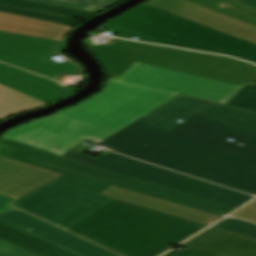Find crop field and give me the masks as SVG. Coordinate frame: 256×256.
<instances>
[{
	"instance_id": "crop-field-27",
	"label": "crop field",
	"mask_w": 256,
	"mask_h": 256,
	"mask_svg": "<svg viewBox=\"0 0 256 256\" xmlns=\"http://www.w3.org/2000/svg\"><path fill=\"white\" fill-rule=\"evenodd\" d=\"M12 200H14V198L7 197V196H4V195L0 194V210H6V209L14 208V207H12L11 205L8 204Z\"/></svg>"
},
{
	"instance_id": "crop-field-20",
	"label": "crop field",
	"mask_w": 256,
	"mask_h": 256,
	"mask_svg": "<svg viewBox=\"0 0 256 256\" xmlns=\"http://www.w3.org/2000/svg\"><path fill=\"white\" fill-rule=\"evenodd\" d=\"M31 1L76 8V9H81V10H86V11L96 13L116 3L118 0H31Z\"/></svg>"
},
{
	"instance_id": "crop-field-17",
	"label": "crop field",
	"mask_w": 256,
	"mask_h": 256,
	"mask_svg": "<svg viewBox=\"0 0 256 256\" xmlns=\"http://www.w3.org/2000/svg\"><path fill=\"white\" fill-rule=\"evenodd\" d=\"M48 105L0 85V120Z\"/></svg>"
},
{
	"instance_id": "crop-field-26",
	"label": "crop field",
	"mask_w": 256,
	"mask_h": 256,
	"mask_svg": "<svg viewBox=\"0 0 256 256\" xmlns=\"http://www.w3.org/2000/svg\"><path fill=\"white\" fill-rule=\"evenodd\" d=\"M164 256H210V255L185 249L181 252L172 250L167 254H165Z\"/></svg>"
},
{
	"instance_id": "crop-field-5",
	"label": "crop field",
	"mask_w": 256,
	"mask_h": 256,
	"mask_svg": "<svg viewBox=\"0 0 256 256\" xmlns=\"http://www.w3.org/2000/svg\"><path fill=\"white\" fill-rule=\"evenodd\" d=\"M0 155L64 174L66 176L58 181L90 190L98 194L113 184L221 217L235 209L66 159L3 138L0 139Z\"/></svg>"
},
{
	"instance_id": "crop-field-8",
	"label": "crop field",
	"mask_w": 256,
	"mask_h": 256,
	"mask_svg": "<svg viewBox=\"0 0 256 256\" xmlns=\"http://www.w3.org/2000/svg\"><path fill=\"white\" fill-rule=\"evenodd\" d=\"M62 42L0 32V61L61 81L63 75L80 76L70 62L56 63L50 56L62 53Z\"/></svg>"
},
{
	"instance_id": "crop-field-4",
	"label": "crop field",
	"mask_w": 256,
	"mask_h": 256,
	"mask_svg": "<svg viewBox=\"0 0 256 256\" xmlns=\"http://www.w3.org/2000/svg\"><path fill=\"white\" fill-rule=\"evenodd\" d=\"M112 79L135 62L245 86L256 76V65L224 56L122 40L110 46L89 45Z\"/></svg>"
},
{
	"instance_id": "crop-field-2",
	"label": "crop field",
	"mask_w": 256,
	"mask_h": 256,
	"mask_svg": "<svg viewBox=\"0 0 256 256\" xmlns=\"http://www.w3.org/2000/svg\"><path fill=\"white\" fill-rule=\"evenodd\" d=\"M204 226L114 200L69 231L125 256H155Z\"/></svg>"
},
{
	"instance_id": "crop-field-28",
	"label": "crop field",
	"mask_w": 256,
	"mask_h": 256,
	"mask_svg": "<svg viewBox=\"0 0 256 256\" xmlns=\"http://www.w3.org/2000/svg\"><path fill=\"white\" fill-rule=\"evenodd\" d=\"M238 1L246 4L247 6L251 5V6H255L256 7V0H238Z\"/></svg>"
},
{
	"instance_id": "crop-field-10",
	"label": "crop field",
	"mask_w": 256,
	"mask_h": 256,
	"mask_svg": "<svg viewBox=\"0 0 256 256\" xmlns=\"http://www.w3.org/2000/svg\"><path fill=\"white\" fill-rule=\"evenodd\" d=\"M0 221L79 256H118L17 209L0 211Z\"/></svg>"
},
{
	"instance_id": "crop-field-14",
	"label": "crop field",
	"mask_w": 256,
	"mask_h": 256,
	"mask_svg": "<svg viewBox=\"0 0 256 256\" xmlns=\"http://www.w3.org/2000/svg\"><path fill=\"white\" fill-rule=\"evenodd\" d=\"M100 195L205 224L207 226L221 218L113 185L100 193Z\"/></svg>"
},
{
	"instance_id": "crop-field-25",
	"label": "crop field",
	"mask_w": 256,
	"mask_h": 256,
	"mask_svg": "<svg viewBox=\"0 0 256 256\" xmlns=\"http://www.w3.org/2000/svg\"><path fill=\"white\" fill-rule=\"evenodd\" d=\"M232 216L256 222V199L234 213Z\"/></svg>"
},
{
	"instance_id": "crop-field-12",
	"label": "crop field",
	"mask_w": 256,
	"mask_h": 256,
	"mask_svg": "<svg viewBox=\"0 0 256 256\" xmlns=\"http://www.w3.org/2000/svg\"><path fill=\"white\" fill-rule=\"evenodd\" d=\"M63 176L0 157V193L16 199Z\"/></svg>"
},
{
	"instance_id": "crop-field-19",
	"label": "crop field",
	"mask_w": 256,
	"mask_h": 256,
	"mask_svg": "<svg viewBox=\"0 0 256 256\" xmlns=\"http://www.w3.org/2000/svg\"><path fill=\"white\" fill-rule=\"evenodd\" d=\"M0 5L79 19L93 14L81 10L40 4L26 0H0Z\"/></svg>"
},
{
	"instance_id": "crop-field-15",
	"label": "crop field",
	"mask_w": 256,
	"mask_h": 256,
	"mask_svg": "<svg viewBox=\"0 0 256 256\" xmlns=\"http://www.w3.org/2000/svg\"><path fill=\"white\" fill-rule=\"evenodd\" d=\"M72 28L0 12V31L63 41Z\"/></svg>"
},
{
	"instance_id": "crop-field-23",
	"label": "crop field",
	"mask_w": 256,
	"mask_h": 256,
	"mask_svg": "<svg viewBox=\"0 0 256 256\" xmlns=\"http://www.w3.org/2000/svg\"><path fill=\"white\" fill-rule=\"evenodd\" d=\"M0 11L17 14V15H22V16H27V17H32V18H37V19H42V20L51 21V22H56V23L65 24V25H71V26H74L79 21H81L79 19L53 16V15L42 14V13L20 10V9H14V8H8V7H3V6H0Z\"/></svg>"
},
{
	"instance_id": "crop-field-1",
	"label": "crop field",
	"mask_w": 256,
	"mask_h": 256,
	"mask_svg": "<svg viewBox=\"0 0 256 256\" xmlns=\"http://www.w3.org/2000/svg\"><path fill=\"white\" fill-rule=\"evenodd\" d=\"M242 88L135 63L87 101L2 137L60 156L88 139L256 195V164L167 132L199 113L256 134V112L224 105Z\"/></svg>"
},
{
	"instance_id": "crop-field-13",
	"label": "crop field",
	"mask_w": 256,
	"mask_h": 256,
	"mask_svg": "<svg viewBox=\"0 0 256 256\" xmlns=\"http://www.w3.org/2000/svg\"><path fill=\"white\" fill-rule=\"evenodd\" d=\"M0 84L46 103L77 91L75 88L1 63Z\"/></svg>"
},
{
	"instance_id": "crop-field-6",
	"label": "crop field",
	"mask_w": 256,
	"mask_h": 256,
	"mask_svg": "<svg viewBox=\"0 0 256 256\" xmlns=\"http://www.w3.org/2000/svg\"><path fill=\"white\" fill-rule=\"evenodd\" d=\"M63 157L235 208L253 197L235 190L145 164L114 152L101 160L84 156L82 153L73 150L65 154Z\"/></svg>"
},
{
	"instance_id": "crop-field-24",
	"label": "crop field",
	"mask_w": 256,
	"mask_h": 256,
	"mask_svg": "<svg viewBox=\"0 0 256 256\" xmlns=\"http://www.w3.org/2000/svg\"><path fill=\"white\" fill-rule=\"evenodd\" d=\"M0 256H38L0 240Z\"/></svg>"
},
{
	"instance_id": "crop-field-11",
	"label": "crop field",
	"mask_w": 256,
	"mask_h": 256,
	"mask_svg": "<svg viewBox=\"0 0 256 256\" xmlns=\"http://www.w3.org/2000/svg\"><path fill=\"white\" fill-rule=\"evenodd\" d=\"M145 4L256 44V28L184 0H149Z\"/></svg>"
},
{
	"instance_id": "crop-field-29",
	"label": "crop field",
	"mask_w": 256,
	"mask_h": 256,
	"mask_svg": "<svg viewBox=\"0 0 256 256\" xmlns=\"http://www.w3.org/2000/svg\"><path fill=\"white\" fill-rule=\"evenodd\" d=\"M248 85L256 87V78H254Z\"/></svg>"
},
{
	"instance_id": "crop-field-16",
	"label": "crop field",
	"mask_w": 256,
	"mask_h": 256,
	"mask_svg": "<svg viewBox=\"0 0 256 256\" xmlns=\"http://www.w3.org/2000/svg\"><path fill=\"white\" fill-rule=\"evenodd\" d=\"M0 239L40 256H77L0 222Z\"/></svg>"
},
{
	"instance_id": "crop-field-22",
	"label": "crop field",
	"mask_w": 256,
	"mask_h": 256,
	"mask_svg": "<svg viewBox=\"0 0 256 256\" xmlns=\"http://www.w3.org/2000/svg\"><path fill=\"white\" fill-rule=\"evenodd\" d=\"M226 105L256 111V88L244 87Z\"/></svg>"
},
{
	"instance_id": "crop-field-9",
	"label": "crop field",
	"mask_w": 256,
	"mask_h": 256,
	"mask_svg": "<svg viewBox=\"0 0 256 256\" xmlns=\"http://www.w3.org/2000/svg\"><path fill=\"white\" fill-rule=\"evenodd\" d=\"M169 132L256 163V135L202 115L193 116Z\"/></svg>"
},
{
	"instance_id": "crop-field-3",
	"label": "crop field",
	"mask_w": 256,
	"mask_h": 256,
	"mask_svg": "<svg viewBox=\"0 0 256 256\" xmlns=\"http://www.w3.org/2000/svg\"><path fill=\"white\" fill-rule=\"evenodd\" d=\"M116 37L228 55L256 63V45L142 4L104 24Z\"/></svg>"
},
{
	"instance_id": "crop-field-7",
	"label": "crop field",
	"mask_w": 256,
	"mask_h": 256,
	"mask_svg": "<svg viewBox=\"0 0 256 256\" xmlns=\"http://www.w3.org/2000/svg\"><path fill=\"white\" fill-rule=\"evenodd\" d=\"M112 200L54 181L18 199L13 205L68 230Z\"/></svg>"
},
{
	"instance_id": "crop-field-18",
	"label": "crop field",
	"mask_w": 256,
	"mask_h": 256,
	"mask_svg": "<svg viewBox=\"0 0 256 256\" xmlns=\"http://www.w3.org/2000/svg\"><path fill=\"white\" fill-rule=\"evenodd\" d=\"M256 27V10L236 0H186ZM221 4L227 6L219 7Z\"/></svg>"
},
{
	"instance_id": "crop-field-21",
	"label": "crop field",
	"mask_w": 256,
	"mask_h": 256,
	"mask_svg": "<svg viewBox=\"0 0 256 256\" xmlns=\"http://www.w3.org/2000/svg\"><path fill=\"white\" fill-rule=\"evenodd\" d=\"M213 228L256 239V224H252L235 218H227Z\"/></svg>"
}]
</instances>
